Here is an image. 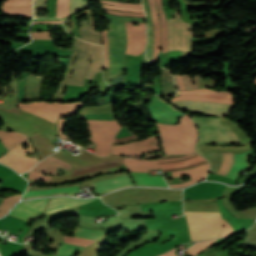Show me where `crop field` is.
Returning a JSON list of instances; mask_svg holds the SVG:
<instances>
[{
    "instance_id": "obj_40",
    "label": "crop field",
    "mask_w": 256,
    "mask_h": 256,
    "mask_svg": "<svg viewBox=\"0 0 256 256\" xmlns=\"http://www.w3.org/2000/svg\"><path fill=\"white\" fill-rule=\"evenodd\" d=\"M161 74H162V93L164 97H169L170 92L167 84L166 70L161 68Z\"/></svg>"
},
{
    "instance_id": "obj_59",
    "label": "crop field",
    "mask_w": 256,
    "mask_h": 256,
    "mask_svg": "<svg viewBox=\"0 0 256 256\" xmlns=\"http://www.w3.org/2000/svg\"><path fill=\"white\" fill-rule=\"evenodd\" d=\"M253 67L256 66V61L254 62V64L252 65Z\"/></svg>"
},
{
    "instance_id": "obj_4",
    "label": "crop field",
    "mask_w": 256,
    "mask_h": 256,
    "mask_svg": "<svg viewBox=\"0 0 256 256\" xmlns=\"http://www.w3.org/2000/svg\"><path fill=\"white\" fill-rule=\"evenodd\" d=\"M192 241L218 238L223 229L220 213L184 212Z\"/></svg>"
},
{
    "instance_id": "obj_56",
    "label": "crop field",
    "mask_w": 256,
    "mask_h": 256,
    "mask_svg": "<svg viewBox=\"0 0 256 256\" xmlns=\"http://www.w3.org/2000/svg\"><path fill=\"white\" fill-rule=\"evenodd\" d=\"M197 151L199 152V153H201L204 157L206 156V154H204L202 151H201V149H200V145L199 146H197Z\"/></svg>"
},
{
    "instance_id": "obj_33",
    "label": "crop field",
    "mask_w": 256,
    "mask_h": 256,
    "mask_svg": "<svg viewBox=\"0 0 256 256\" xmlns=\"http://www.w3.org/2000/svg\"><path fill=\"white\" fill-rule=\"evenodd\" d=\"M143 2H144V9L147 14V25H148V46L147 47H153V28H152L151 14L149 9V2L148 0H143Z\"/></svg>"
},
{
    "instance_id": "obj_9",
    "label": "crop field",
    "mask_w": 256,
    "mask_h": 256,
    "mask_svg": "<svg viewBox=\"0 0 256 256\" xmlns=\"http://www.w3.org/2000/svg\"><path fill=\"white\" fill-rule=\"evenodd\" d=\"M27 144V146L29 148H22L21 146L24 144ZM33 151V147L31 142L27 139L25 140L23 143L17 145L16 147H14L12 150H10L7 154H5L4 156H2L0 158V162L9 166L12 163H14L15 161L19 160L20 158H22L23 156H25L26 154L30 153ZM38 162L37 158H29V157H23L22 159H20L19 161L15 162L14 164H12L11 168H13L14 170H16L19 173H23L27 170H30L32 168V166Z\"/></svg>"
},
{
    "instance_id": "obj_51",
    "label": "crop field",
    "mask_w": 256,
    "mask_h": 256,
    "mask_svg": "<svg viewBox=\"0 0 256 256\" xmlns=\"http://www.w3.org/2000/svg\"><path fill=\"white\" fill-rule=\"evenodd\" d=\"M65 120H59L58 122V130H59V133L61 134L62 138L66 139L63 132H62V125L64 123Z\"/></svg>"
},
{
    "instance_id": "obj_60",
    "label": "crop field",
    "mask_w": 256,
    "mask_h": 256,
    "mask_svg": "<svg viewBox=\"0 0 256 256\" xmlns=\"http://www.w3.org/2000/svg\"><path fill=\"white\" fill-rule=\"evenodd\" d=\"M254 84H256V78H255V80H254Z\"/></svg>"
},
{
    "instance_id": "obj_41",
    "label": "crop field",
    "mask_w": 256,
    "mask_h": 256,
    "mask_svg": "<svg viewBox=\"0 0 256 256\" xmlns=\"http://www.w3.org/2000/svg\"><path fill=\"white\" fill-rule=\"evenodd\" d=\"M103 42H104V68H108L109 61H108V39L106 30H103Z\"/></svg>"
},
{
    "instance_id": "obj_5",
    "label": "crop field",
    "mask_w": 256,
    "mask_h": 256,
    "mask_svg": "<svg viewBox=\"0 0 256 256\" xmlns=\"http://www.w3.org/2000/svg\"><path fill=\"white\" fill-rule=\"evenodd\" d=\"M91 53V68L87 78L93 79L94 73L101 70L102 46L81 41L78 55L74 62V73L70 85L83 86L84 78L89 67V54Z\"/></svg>"
},
{
    "instance_id": "obj_58",
    "label": "crop field",
    "mask_w": 256,
    "mask_h": 256,
    "mask_svg": "<svg viewBox=\"0 0 256 256\" xmlns=\"http://www.w3.org/2000/svg\"><path fill=\"white\" fill-rule=\"evenodd\" d=\"M254 58H256V54H255L249 61H251V60L254 59Z\"/></svg>"
},
{
    "instance_id": "obj_24",
    "label": "crop field",
    "mask_w": 256,
    "mask_h": 256,
    "mask_svg": "<svg viewBox=\"0 0 256 256\" xmlns=\"http://www.w3.org/2000/svg\"><path fill=\"white\" fill-rule=\"evenodd\" d=\"M124 164L131 171H136V172H149V169H159L156 161H152V160H139L135 158H125Z\"/></svg>"
},
{
    "instance_id": "obj_29",
    "label": "crop field",
    "mask_w": 256,
    "mask_h": 256,
    "mask_svg": "<svg viewBox=\"0 0 256 256\" xmlns=\"http://www.w3.org/2000/svg\"><path fill=\"white\" fill-rule=\"evenodd\" d=\"M174 80L178 90L198 88V75L194 77V85H192L191 77L189 75L174 76Z\"/></svg>"
},
{
    "instance_id": "obj_22",
    "label": "crop field",
    "mask_w": 256,
    "mask_h": 256,
    "mask_svg": "<svg viewBox=\"0 0 256 256\" xmlns=\"http://www.w3.org/2000/svg\"><path fill=\"white\" fill-rule=\"evenodd\" d=\"M251 165L248 163V152L235 154V160L232 168L227 174V177L237 180L238 177L246 170H249Z\"/></svg>"
},
{
    "instance_id": "obj_38",
    "label": "crop field",
    "mask_w": 256,
    "mask_h": 256,
    "mask_svg": "<svg viewBox=\"0 0 256 256\" xmlns=\"http://www.w3.org/2000/svg\"><path fill=\"white\" fill-rule=\"evenodd\" d=\"M216 240L213 241H205V242H200V243H196L194 244L192 247H190L187 252L193 256L197 255L198 253H200L204 248H206L207 246H209L211 243L215 242Z\"/></svg>"
},
{
    "instance_id": "obj_48",
    "label": "crop field",
    "mask_w": 256,
    "mask_h": 256,
    "mask_svg": "<svg viewBox=\"0 0 256 256\" xmlns=\"http://www.w3.org/2000/svg\"><path fill=\"white\" fill-rule=\"evenodd\" d=\"M168 82H169V87H170V91L172 94H177L174 82H173V78L172 75L168 72Z\"/></svg>"
},
{
    "instance_id": "obj_12",
    "label": "crop field",
    "mask_w": 256,
    "mask_h": 256,
    "mask_svg": "<svg viewBox=\"0 0 256 256\" xmlns=\"http://www.w3.org/2000/svg\"><path fill=\"white\" fill-rule=\"evenodd\" d=\"M48 199L22 201L11 211L10 215L27 221L40 218L46 211Z\"/></svg>"
},
{
    "instance_id": "obj_1",
    "label": "crop field",
    "mask_w": 256,
    "mask_h": 256,
    "mask_svg": "<svg viewBox=\"0 0 256 256\" xmlns=\"http://www.w3.org/2000/svg\"><path fill=\"white\" fill-rule=\"evenodd\" d=\"M179 96L174 97L176 100H196L204 102L233 104L231 93L213 92L206 89L194 91H181ZM196 101H176L172 102L183 110L190 112L204 113L212 116H228L233 105L213 104Z\"/></svg>"
},
{
    "instance_id": "obj_53",
    "label": "crop field",
    "mask_w": 256,
    "mask_h": 256,
    "mask_svg": "<svg viewBox=\"0 0 256 256\" xmlns=\"http://www.w3.org/2000/svg\"><path fill=\"white\" fill-rule=\"evenodd\" d=\"M174 250H176V249H174ZM174 250H172V251H170V252H168V253H165V254H163V255H160V256H176V255L174 254Z\"/></svg>"
},
{
    "instance_id": "obj_54",
    "label": "crop field",
    "mask_w": 256,
    "mask_h": 256,
    "mask_svg": "<svg viewBox=\"0 0 256 256\" xmlns=\"http://www.w3.org/2000/svg\"><path fill=\"white\" fill-rule=\"evenodd\" d=\"M69 18H70V16L66 17V28L71 33L70 27H69Z\"/></svg>"
},
{
    "instance_id": "obj_14",
    "label": "crop field",
    "mask_w": 256,
    "mask_h": 256,
    "mask_svg": "<svg viewBox=\"0 0 256 256\" xmlns=\"http://www.w3.org/2000/svg\"><path fill=\"white\" fill-rule=\"evenodd\" d=\"M91 132V137L113 139L120 128L106 127H88ZM89 138L96 143L97 151L95 154L99 156H107L110 153V146L113 140Z\"/></svg>"
},
{
    "instance_id": "obj_28",
    "label": "crop field",
    "mask_w": 256,
    "mask_h": 256,
    "mask_svg": "<svg viewBox=\"0 0 256 256\" xmlns=\"http://www.w3.org/2000/svg\"><path fill=\"white\" fill-rule=\"evenodd\" d=\"M157 11L160 15V27H161V46L163 47L162 53L167 52V26L164 15V9L162 7L161 0H156Z\"/></svg>"
},
{
    "instance_id": "obj_52",
    "label": "crop field",
    "mask_w": 256,
    "mask_h": 256,
    "mask_svg": "<svg viewBox=\"0 0 256 256\" xmlns=\"http://www.w3.org/2000/svg\"><path fill=\"white\" fill-rule=\"evenodd\" d=\"M35 23H52V24H58V23H62V21H40V22H34Z\"/></svg>"
},
{
    "instance_id": "obj_8",
    "label": "crop field",
    "mask_w": 256,
    "mask_h": 256,
    "mask_svg": "<svg viewBox=\"0 0 256 256\" xmlns=\"http://www.w3.org/2000/svg\"><path fill=\"white\" fill-rule=\"evenodd\" d=\"M28 105L34 106L36 108L42 109L44 111H47L49 113L55 114L57 116H62V115H68V114H73L76 113L77 109L79 107H82V102H75L71 104H65V103H47L44 101L41 102H31V103H26ZM23 103H19V109L33 113L35 115H38L42 118H45L47 120H50L52 122H56L57 116L49 114L47 112L41 111L39 109H36L34 107L28 106Z\"/></svg>"
},
{
    "instance_id": "obj_42",
    "label": "crop field",
    "mask_w": 256,
    "mask_h": 256,
    "mask_svg": "<svg viewBox=\"0 0 256 256\" xmlns=\"http://www.w3.org/2000/svg\"><path fill=\"white\" fill-rule=\"evenodd\" d=\"M32 39L55 40L49 37V32H31Z\"/></svg>"
},
{
    "instance_id": "obj_32",
    "label": "crop field",
    "mask_w": 256,
    "mask_h": 256,
    "mask_svg": "<svg viewBox=\"0 0 256 256\" xmlns=\"http://www.w3.org/2000/svg\"><path fill=\"white\" fill-rule=\"evenodd\" d=\"M20 196L21 194L5 198L0 204V216L5 215L12 208V206L17 203Z\"/></svg>"
},
{
    "instance_id": "obj_26",
    "label": "crop field",
    "mask_w": 256,
    "mask_h": 256,
    "mask_svg": "<svg viewBox=\"0 0 256 256\" xmlns=\"http://www.w3.org/2000/svg\"><path fill=\"white\" fill-rule=\"evenodd\" d=\"M150 2V9L153 19V24L155 26V41H154V57L152 63L158 62V53L160 51V27L158 23V15L155 8V0H149Z\"/></svg>"
},
{
    "instance_id": "obj_20",
    "label": "crop field",
    "mask_w": 256,
    "mask_h": 256,
    "mask_svg": "<svg viewBox=\"0 0 256 256\" xmlns=\"http://www.w3.org/2000/svg\"><path fill=\"white\" fill-rule=\"evenodd\" d=\"M208 168H209V163L196 167L194 169L172 173L173 177L190 175L192 180L179 185H171V187L180 188V187L188 186L194 182L200 181L206 176Z\"/></svg>"
},
{
    "instance_id": "obj_21",
    "label": "crop field",
    "mask_w": 256,
    "mask_h": 256,
    "mask_svg": "<svg viewBox=\"0 0 256 256\" xmlns=\"http://www.w3.org/2000/svg\"><path fill=\"white\" fill-rule=\"evenodd\" d=\"M79 41H80V39L72 36L71 50L69 52V57H71V59H70V62H69L68 66L65 70L64 77H63V82L60 86V89L55 95V98H54L55 101H60L61 100V98L63 96V93L66 89L68 79H69V76H70V73H71L72 65H73V59L76 55L77 48H78V45H79Z\"/></svg>"
},
{
    "instance_id": "obj_37",
    "label": "crop field",
    "mask_w": 256,
    "mask_h": 256,
    "mask_svg": "<svg viewBox=\"0 0 256 256\" xmlns=\"http://www.w3.org/2000/svg\"><path fill=\"white\" fill-rule=\"evenodd\" d=\"M68 3H69V0H58L57 1L56 17H66L69 15Z\"/></svg>"
},
{
    "instance_id": "obj_15",
    "label": "crop field",
    "mask_w": 256,
    "mask_h": 256,
    "mask_svg": "<svg viewBox=\"0 0 256 256\" xmlns=\"http://www.w3.org/2000/svg\"><path fill=\"white\" fill-rule=\"evenodd\" d=\"M126 23L128 46L126 54H141L146 43V35L144 24L139 23L137 27L132 26V23Z\"/></svg>"
},
{
    "instance_id": "obj_47",
    "label": "crop field",
    "mask_w": 256,
    "mask_h": 256,
    "mask_svg": "<svg viewBox=\"0 0 256 256\" xmlns=\"http://www.w3.org/2000/svg\"><path fill=\"white\" fill-rule=\"evenodd\" d=\"M224 224H225V229H224L222 237L234 234V231H233V228L231 227V225H229L225 220H224Z\"/></svg>"
},
{
    "instance_id": "obj_6",
    "label": "crop field",
    "mask_w": 256,
    "mask_h": 256,
    "mask_svg": "<svg viewBox=\"0 0 256 256\" xmlns=\"http://www.w3.org/2000/svg\"><path fill=\"white\" fill-rule=\"evenodd\" d=\"M121 161L122 159L111 160L107 162L97 163V164L85 166L82 168L74 169L72 170V177L80 174H84L87 172H91V171L105 169L112 166H121L122 165ZM58 167H63L68 170L70 165L60 159H57L53 156H49L45 158L43 161L39 162L33 169L41 172L55 174ZM34 170L30 171V175H29L30 179L51 181V176L42 175L41 172L34 171Z\"/></svg>"
},
{
    "instance_id": "obj_57",
    "label": "crop field",
    "mask_w": 256,
    "mask_h": 256,
    "mask_svg": "<svg viewBox=\"0 0 256 256\" xmlns=\"http://www.w3.org/2000/svg\"><path fill=\"white\" fill-rule=\"evenodd\" d=\"M175 13H176V15H177V18L180 20L178 10H176Z\"/></svg>"
},
{
    "instance_id": "obj_36",
    "label": "crop field",
    "mask_w": 256,
    "mask_h": 256,
    "mask_svg": "<svg viewBox=\"0 0 256 256\" xmlns=\"http://www.w3.org/2000/svg\"><path fill=\"white\" fill-rule=\"evenodd\" d=\"M88 8V1L70 0L69 12L70 14Z\"/></svg>"
},
{
    "instance_id": "obj_46",
    "label": "crop field",
    "mask_w": 256,
    "mask_h": 256,
    "mask_svg": "<svg viewBox=\"0 0 256 256\" xmlns=\"http://www.w3.org/2000/svg\"><path fill=\"white\" fill-rule=\"evenodd\" d=\"M45 1L46 0H35V3H34L35 17H37V9L43 8L45 10Z\"/></svg>"
},
{
    "instance_id": "obj_50",
    "label": "crop field",
    "mask_w": 256,
    "mask_h": 256,
    "mask_svg": "<svg viewBox=\"0 0 256 256\" xmlns=\"http://www.w3.org/2000/svg\"><path fill=\"white\" fill-rule=\"evenodd\" d=\"M107 10V9H104ZM110 13L113 14H121V15H130V16H140V17H145L144 14H135V13H125V12H120V11H114V10H107Z\"/></svg>"
},
{
    "instance_id": "obj_35",
    "label": "crop field",
    "mask_w": 256,
    "mask_h": 256,
    "mask_svg": "<svg viewBox=\"0 0 256 256\" xmlns=\"http://www.w3.org/2000/svg\"><path fill=\"white\" fill-rule=\"evenodd\" d=\"M82 247L63 244L58 250V254L54 256H74Z\"/></svg>"
},
{
    "instance_id": "obj_34",
    "label": "crop field",
    "mask_w": 256,
    "mask_h": 256,
    "mask_svg": "<svg viewBox=\"0 0 256 256\" xmlns=\"http://www.w3.org/2000/svg\"><path fill=\"white\" fill-rule=\"evenodd\" d=\"M2 11L11 14H22V16L32 17V7H2Z\"/></svg>"
},
{
    "instance_id": "obj_18",
    "label": "crop field",
    "mask_w": 256,
    "mask_h": 256,
    "mask_svg": "<svg viewBox=\"0 0 256 256\" xmlns=\"http://www.w3.org/2000/svg\"><path fill=\"white\" fill-rule=\"evenodd\" d=\"M91 185V184H90ZM97 193H103L109 190L133 185L130 178L127 175L108 179L105 181L97 182L93 184Z\"/></svg>"
},
{
    "instance_id": "obj_7",
    "label": "crop field",
    "mask_w": 256,
    "mask_h": 256,
    "mask_svg": "<svg viewBox=\"0 0 256 256\" xmlns=\"http://www.w3.org/2000/svg\"><path fill=\"white\" fill-rule=\"evenodd\" d=\"M201 133V143H238L242 144L230 126L222 127L218 118L192 117Z\"/></svg>"
},
{
    "instance_id": "obj_2",
    "label": "crop field",
    "mask_w": 256,
    "mask_h": 256,
    "mask_svg": "<svg viewBox=\"0 0 256 256\" xmlns=\"http://www.w3.org/2000/svg\"><path fill=\"white\" fill-rule=\"evenodd\" d=\"M156 124L158 126L159 137L162 141V147L165 154L180 153L177 129L181 153H194V145L198 135L188 116L184 115L181 118L180 123L176 126L177 129L175 126Z\"/></svg>"
},
{
    "instance_id": "obj_31",
    "label": "crop field",
    "mask_w": 256,
    "mask_h": 256,
    "mask_svg": "<svg viewBox=\"0 0 256 256\" xmlns=\"http://www.w3.org/2000/svg\"><path fill=\"white\" fill-rule=\"evenodd\" d=\"M233 160H234V154L223 153L222 164H221L217 174L226 176L227 172L229 171V169L233 163Z\"/></svg>"
},
{
    "instance_id": "obj_23",
    "label": "crop field",
    "mask_w": 256,
    "mask_h": 256,
    "mask_svg": "<svg viewBox=\"0 0 256 256\" xmlns=\"http://www.w3.org/2000/svg\"><path fill=\"white\" fill-rule=\"evenodd\" d=\"M86 12L89 17V24H90V29H91V33H92V42L101 44V33L94 31L95 24H94V20H93L91 11L88 10ZM79 24H80V31H81V39L91 42V34H90V30L88 28V22L81 21V22H79Z\"/></svg>"
},
{
    "instance_id": "obj_55",
    "label": "crop field",
    "mask_w": 256,
    "mask_h": 256,
    "mask_svg": "<svg viewBox=\"0 0 256 256\" xmlns=\"http://www.w3.org/2000/svg\"><path fill=\"white\" fill-rule=\"evenodd\" d=\"M255 30H256V24L253 25L252 27H250V28H249L248 30H246V31L252 33V32H254Z\"/></svg>"
},
{
    "instance_id": "obj_49",
    "label": "crop field",
    "mask_w": 256,
    "mask_h": 256,
    "mask_svg": "<svg viewBox=\"0 0 256 256\" xmlns=\"http://www.w3.org/2000/svg\"><path fill=\"white\" fill-rule=\"evenodd\" d=\"M136 136H137V135H136ZM136 136H130V137L122 138V139H117V140H115L114 144L125 143V142H128V141H132V140H137V139H139V138L136 137Z\"/></svg>"
},
{
    "instance_id": "obj_27",
    "label": "crop field",
    "mask_w": 256,
    "mask_h": 256,
    "mask_svg": "<svg viewBox=\"0 0 256 256\" xmlns=\"http://www.w3.org/2000/svg\"><path fill=\"white\" fill-rule=\"evenodd\" d=\"M27 137L28 136L16 131L8 133L0 130V140L8 150L19 144Z\"/></svg>"
},
{
    "instance_id": "obj_11",
    "label": "crop field",
    "mask_w": 256,
    "mask_h": 256,
    "mask_svg": "<svg viewBox=\"0 0 256 256\" xmlns=\"http://www.w3.org/2000/svg\"><path fill=\"white\" fill-rule=\"evenodd\" d=\"M160 150L157 136L154 135L142 141L112 147V154L140 157L142 153Z\"/></svg>"
},
{
    "instance_id": "obj_45",
    "label": "crop field",
    "mask_w": 256,
    "mask_h": 256,
    "mask_svg": "<svg viewBox=\"0 0 256 256\" xmlns=\"http://www.w3.org/2000/svg\"><path fill=\"white\" fill-rule=\"evenodd\" d=\"M104 8L109 9H116V10H124V11H132V12H138V13H144L143 9H134V8H124V7H113V6H105L102 5Z\"/></svg>"
},
{
    "instance_id": "obj_25",
    "label": "crop field",
    "mask_w": 256,
    "mask_h": 256,
    "mask_svg": "<svg viewBox=\"0 0 256 256\" xmlns=\"http://www.w3.org/2000/svg\"><path fill=\"white\" fill-rule=\"evenodd\" d=\"M136 185L167 186L163 177L148 176L149 173L130 172Z\"/></svg>"
},
{
    "instance_id": "obj_44",
    "label": "crop field",
    "mask_w": 256,
    "mask_h": 256,
    "mask_svg": "<svg viewBox=\"0 0 256 256\" xmlns=\"http://www.w3.org/2000/svg\"><path fill=\"white\" fill-rule=\"evenodd\" d=\"M102 3L115 5V6H124V7H136V8H142L141 4H127V3H117V2H111V1H103L99 0Z\"/></svg>"
},
{
    "instance_id": "obj_10",
    "label": "crop field",
    "mask_w": 256,
    "mask_h": 256,
    "mask_svg": "<svg viewBox=\"0 0 256 256\" xmlns=\"http://www.w3.org/2000/svg\"><path fill=\"white\" fill-rule=\"evenodd\" d=\"M163 172L178 171L191 168L207 161L198 154L168 155L157 160Z\"/></svg>"
},
{
    "instance_id": "obj_39",
    "label": "crop field",
    "mask_w": 256,
    "mask_h": 256,
    "mask_svg": "<svg viewBox=\"0 0 256 256\" xmlns=\"http://www.w3.org/2000/svg\"><path fill=\"white\" fill-rule=\"evenodd\" d=\"M167 25H168L169 51H171V50H174V23H173V19L167 20Z\"/></svg>"
},
{
    "instance_id": "obj_3",
    "label": "crop field",
    "mask_w": 256,
    "mask_h": 256,
    "mask_svg": "<svg viewBox=\"0 0 256 256\" xmlns=\"http://www.w3.org/2000/svg\"><path fill=\"white\" fill-rule=\"evenodd\" d=\"M111 20L108 29L109 39V79L119 74L124 69V53L126 49L127 36L124 21L144 22L141 18L122 17L106 15Z\"/></svg>"
},
{
    "instance_id": "obj_17",
    "label": "crop field",
    "mask_w": 256,
    "mask_h": 256,
    "mask_svg": "<svg viewBox=\"0 0 256 256\" xmlns=\"http://www.w3.org/2000/svg\"><path fill=\"white\" fill-rule=\"evenodd\" d=\"M73 236L97 240V239L105 236V230H91V229L77 227ZM64 242L87 246L95 241L64 236Z\"/></svg>"
},
{
    "instance_id": "obj_13",
    "label": "crop field",
    "mask_w": 256,
    "mask_h": 256,
    "mask_svg": "<svg viewBox=\"0 0 256 256\" xmlns=\"http://www.w3.org/2000/svg\"><path fill=\"white\" fill-rule=\"evenodd\" d=\"M150 111L152 118L165 124H174L176 123L177 117L183 115L179 110L156 96H154L150 103Z\"/></svg>"
},
{
    "instance_id": "obj_16",
    "label": "crop field",
    "mask_w": 256,
    "mask_h": 256,
    "mask_svg": "<svg viewBox=\"0 0 256 256\" xmlns=\"http://www.w3.org/2000/svg\"><path fill=\"white\" fill-rule=\"evenodd\" d=\"M175 50H181V23L174 18ZM192 28L188 24V53H191ZM182 58H187V24L182 23Z\"/></svg>"
},
{
    "instance_id": "obj_30",
    "label": "crop field",
    "mask_w": 256,
    "mask_h": 256,
    "mask_svg": "<svg viewBox=\"0 0 256 256\" xmlns=\"http://www.w3.org/2000/svg\"><path fill=\"white\" fill-rule=\"evenodd\" d=\"M61 191H66L67 195H73L75 192H80L78 186L75 187H70V188H60V189H49V190H40V191H31V192H26L24 196H29V195H37V194H45V193H53V192H61ZM62 193H54V194H46V195H38V196H30V197H24L25 198H33V197H40V196H47V195H55V194H63Z\"/></svg>"
},
{
    "instance_id": "obj_19",
    "label": "crop field",
    "mask_w": 256,
    "mask_h": 256,
    "mask_svg": "<svg viewBox=\"0 0 256 256\" xmlns=\"http://www.w3.org/2000/svg\"><path fill=\"white\" fill-rule=\"evenodd\" d=\"M96 199H99V198H91V199H74V198H65V197L52 198L49 202L47 213H50L59 209H63V208L82 205Z\"/></svg>"
},
{
    "instance_id": "obj_43",
    "label": "crop field",
    "mask_w": 256,
    "mask_h": 256,
    "mask_svg": "<svg viewBox=\"0 0 256 256\" xmlns=\"http://www.w3.org/2000/svg\"><path fill=\"white\" fill-rule=\"evenodd\" d=\"M32 6V1H6L2 6Z\"/></svg>"
}]
</instances>
